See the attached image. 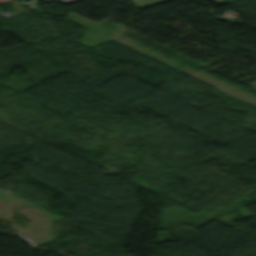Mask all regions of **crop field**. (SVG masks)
Returning a JSON list of instances; mask_svg holds the SVG:
<instances>
[{
    "instance_id": "1",
    "label": "crop field",
    "mask_w": 256,
    "mask_h": 256,
    "mask_svg": "<svg viewBox=\"0 0 256 256\" xmlns=\"http://www.w3.org/2000/svg\"><path fill=\"white\" fill-rule=\"evenodd\" d=\"M131 1L134 2V1H138V0H131ZM161 1H164V0H142V1H139V2H135V4L137 5L138 8H140V7H144V6L151 5V4H154V3H158V2H161Z\"/></svg>"
},
{
    "instance_id": "2",
    "label": "crop field",
    "mask_w": 256,
    "mask_h": 256,
    "mask_svg": "<svg viewBox=\"0 0 256 256\" xmlns=\"http://www.w3.org/2000/svg\"><path fill=\"white\" fill-rule=\"evenodd\" d=\"M212 1H214V2H216V3H218V4L224 3V0H212Z\"/></svg>"
},
{
    "instance_id": "3",
    "label": "crop field",
    "mask_w": 256,
    "mask_h": 256,
    "mask_svg": "<svg viewBox=\"0 0 256 256\" xmlns=\"http://www.w3.org/2000/svg\"><path fill=\"white\" fill-rule=\"evenodd\" d=\"M22 1H26V0H22Z\"/></svg>"
}]
</instances>
